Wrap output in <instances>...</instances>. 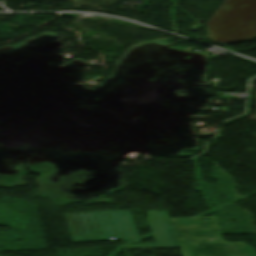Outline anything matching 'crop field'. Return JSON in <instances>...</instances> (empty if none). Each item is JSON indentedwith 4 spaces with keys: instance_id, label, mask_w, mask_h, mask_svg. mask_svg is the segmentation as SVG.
I'll list each match as a JSON object with an SVG mask.
<instances>
[{
    "instance_id": "3",
    "label": "crop field",
    "mask_w": 256,
    "mask_h": 256,
    "mask_svg": "<svg viewBox=\"0 0 256 256\" xmlns=\"http://www.w3.org/2000/svg\"><path fill=\"white\" fill-rule=\"evenodd\" d=\"M156 244L126 245L127 249L179 247L167 211H146Z\"/></svg>"
},
{
    "instance_id": "1",
    "label": "crop field",
    "mask_w": 256,
    "mask_h": 256,
    "mask_svg": "<svg viewBox=\"0 0 256 256\" xmlns=\"http://www.w3.org/2000/svg\"><path fill=\"white\" fill-rule=\"evenodd\" d=\"M171 219L184 256H256L254 248L243 242L222 240L215 216Z\"/></svg>"
},
{
    "instance_id": "2",
    "label": "crop field",
    "mask_w": 256,
    "mask_h": 256,
    "mask_svg": "<svg viewBox=\"0 0 256 256\" xmlns=\"http://www.w3.org/2000/svg\"><path fill=\"white\" fill-rule=\"evenodd\" d=\"M73 242H141L130 211H98L65 214Z\"/></svg>"
}]
</instances>
